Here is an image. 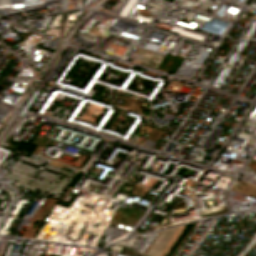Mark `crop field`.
Instances as JSON below:
<instances>
[{"label": "crop field", "instance_id": "2", "mask_svg": "<svg viewBox=\"0 0 256 256\" xmlns=\"http://www.w3.org/2000/svg\"><path fill=\"white\" fill-rule=\"evenodd\" d=\"M57 202V200L51 199V198H47L45 200V202L42 204L41 208L39 209V211L36 213V215L32 218V220L30 221L28 228L26 229L25 233L23 234V236L26 237H31L33 238V235L35 233V230L37 229L38 225L42 222V218L46 215V213L53 207V205ZM39 219L38 224L35 226L34 229H32V225L33 222H35V220Z\"/></svg>", "mask_w": 256, "mask_h": 256}, {"label": "crop field", "instance_id": "1", "mask_svg": "<svg viewBox=\"0 0 256 256\" xmlns=\"http://www.w3.org/2000/svg\"><path fill=\"white\" fill-rule=\"evenodd\" d=\"M178 228V227H177ZM177 228L167 229L160 232L156 240L153 242L149 250L146 252V255L149 256H159L161 251L164 249L172 235L175 233Z\"/></svg>", "mask_w": 256, "mask_h": 256}]
</instances>
